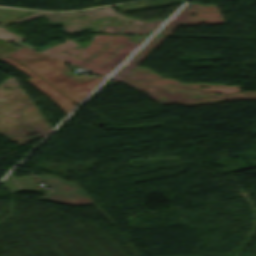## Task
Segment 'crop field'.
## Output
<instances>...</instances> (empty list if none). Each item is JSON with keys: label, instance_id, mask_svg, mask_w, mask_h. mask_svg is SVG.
Here are the masks:
<instances>
[{"label": "crop field", "instance_id": "1", "mask_svg": "<svg viewBox=\"0 0 256 256\" xmlns=\"http://www.w3.org/2000/svg\"><path fill=\"white\" fill-rule=\"evenodd\" d=\"M16 52V51H15ZM9 57L16 58L26 64L68 97L76 101L78 104L86 97L104 78L99 77L84 82H76L61 72L69 70L75 66L66 68L62 66L63 61L48 57L46 55L28 50L21 49Z\"/></svg>", "mask_w": 256, "mask_h": 256}, {"label": "crop field", "instance_id": "2", "mask_svg": "<svg viewBox=\"0 0 256 256\" xmlns=\"http://www.w3.org/2000/svg\"><path fill=\"white\" fill-rule=\"evenodd\" d=\"M36 177L38 181L47 182L51 187L50 193L42 200L72 206L93 204L111 224L116 225L74 182L64 181L54 175Z\"/></svg>", "mask_w": 256, "mask_h": 256}, {"label": "crop field", "instance_id": "3", "mask_svg": "<svg viewBox=\"0 0 256 256\" xmlns=\"http://www.w3.org/2000/svg\"><path fill=\"white\" fill-rule=\"evenodd\" d=\"M1 60L7 61L14 66H16L18 69H20L22 72L27 74L32 79L27 80L30 84H32L34 87H36L38 90H40L42 93H44L46 96L51 98L53 102L67 115L74 107V102L71 101L69 98H67L65 95H63L61 92H59L57 89H55L53 86H51L49 83L44 81L42 78H40L38 75H36L34 72H32L30 69L25 67L20 62L11 59V58H3Z\"/></svg>", "mask_w": 256, "mask_h": 256}, {"label": "crop field", "instance_id": "4", "mask_svg": "<svg viewBox=\"0 0 256 256\" xmlns=\"http://www.w3.org/2000/svg\"><path fill=\"white\" fill-rule=\"evenodd\" d=\"M1 183H3L1 187L9 189V192L11 193L25 190L22 187V185L15 179L12 173L7 178H5Z\"/></svg>", "mask_w": 256, "mask_h": 256}, {"label": "crop field", "instance_id": "5", "mask_svg": "<svg viewBox=\"0 0 256 256\" xmlns=\"http://www.w3.org/2000/svg\"><path fill=\"white\" fill-rule=\"evenodd\" d=\"M17 180L24 186L28 192L38 191L34 183L33 176L31 177H18Z\"/></svg>", "mask_w": 256, "mask_h": 256}, {"label": "crop field", "instance_id": "6", "mask_svg": "<svg viewBox=\"0 0 256 256\" xmlns=\"http://www.w3.org/2000/svg\"><path fill=\"white\" fill-rule=\"evenodd\" d=\"M16 48L17 47H14V46L10 45L9 43L1 44L0 45V53L6 55V54L10 53L11 51H13Z\"/></svg>", "mask_w": 256, "mask_h": 256}, {"label": "crop field", "instance_id": "7", "mask_svg": "<svg viewBox=\"0 0 256 256\" xmlns=\"http://www.w3.org/2000/svg\"><path fill=\"white\" fill-rule=\"evenodd\" d=\"M1 43H6V41L0 39V44H1Z\"/></svg>", "mask_w": 256, "mask_h": 256}, {"label": "crop field", "instance_id": "8", "mask_svg": "<svg viewBox=\"0 0 256 256\" xmlns=\"http://www.w3.org/2000/svg\"><path fill=\"white\" fill-rule=\"evenodd\" d=\"M4 57L3 55H0V58Z\"/></svg>", "mask_w": 256, "mask_h": 256}]
</instances>
